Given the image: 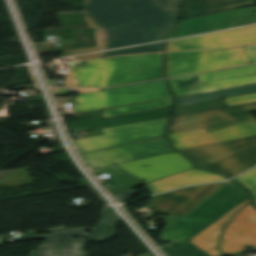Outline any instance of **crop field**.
<instances>
[{"mask_svg": "<svg viewBox=\"0 0 256 256\" xmlns=\"http://www.w3.org/2000/svg\"><path fill=\"white\" fill-rule=\"evenodd\" d=\"M225 179L226 178L220 174L194 168L148 185L153 194H156L186 185L200 184L209 181H223Z\"/></svg>", "mask_w": 256, "mask_h": 256, "instance_id": "733c2abd", "label": "crop field"}, {"mask_svg": "<svg viewBox=\"0 0 256 256\" xmlns=\"http://www.w3.org/2000/svg\"><path fill=\"white\" fill-rule=\"evenodd\" d=\"M73 67L66 85L108 87L164 78L162 54L114 57Z\"/></svg>", "mask_w": 256, "mask_h": 256, "instance_id": "ac0d7876", "label": "crop field"}, {"mask_svg": "<svg viewBox=\"0 0 256 256\" xmlns=\"http://www.w3.org/2000/svg\"><path fill=\"white\" fill-rule=\"evenodd\" d=\"M117 166L148 183L194 168L190 161L177 152L117 164Z\"/></svg>", "mask_w": 256, "mask_h": 256, "instance_id": "28ad6ade", "label": "crop field"}, {"mask_svg": "<svg viewBox=\"0 0 256 256\" xmlns=\"http://www.w3.org/2000/svg\"><path fill=\"white\" fill-rule=\"evenodd\" d=\"M223 184L201 185L162 194L153 209L165 215L186 217Z\"/></svg>", "mask_w": 256, "mask_h": 256, "instance_id": "d1516ede", "label": "crop field"}, {"mask_svg": "<svg viewBox=\"0 0 256 256\" xmlns=\"http://www.w3.org/2000/svg\"><path fill=\"white\" fill-rule=\"evenodd\" d=\"M246 245L256 248V209L251 204L230 221L223 234L220 249L229 256L245 251Z\"/></svg>", "mask_w": 256, "mask_h": 256, "instance_id": "cbeb9de0", "label": "crop field"}, {"mask_svg": "<svg viewBox=\"0 0 256 256\" xmlns=\"http://www.w3.org/2000/svg\"><path fill=\"white\" fill-rule=\"evenodd\" d=\"M249 147H256V136L220 144L181 150V152L186 154L198 167H203Z\"/></svg>", "mask_w": 256, "mask_h": 256, "instance_id": "d9b57169", "label": "crop field"}, {"mask_svg": "<svg viewBox=\"0 0 256 256\" xmlns=\"http://www.w3.org/2000/svg\"><path fill=\"white\" fill-rule=\"evenodd\" d=\"M183 0H84L85 20L97 46L61 57L165 40L177 24Z\"/></svg>", "mask_w": 256, "mask_h": 256, "instance_id": "8a807250", "label": "crop field"}, {"mask_svg": "<svg viewBox=\"0 0 256 256\" xmlns=\"http://www.w3.org/2000/svg\"><path fill=\"white\" fill-rule=\"evenodd\" d=\"M243 47L166 60L167 77L248 64Z\"/></svg>", "mask_w": 256, "mask_h": 256, "instance_id": "d8731c3e", "label": "crop field"}, {"mask_svg": "<svg viewBox=\"0 0 256 256\" xmlns=\"http://www.w3.org/2000/svg\"><path fill=\"white\" fill-rule=\"evenodd\" d=\"M234 180L238 181L240 184L250 190V192L255 196L256 203V168Z\"/></svg>", "mask_w": 256, "mask_h": 256, "instance_id": "d3111659", "label": "crop field"}, {"mask_svg": "<svg viewBox=\"0 0 256 256\" xmlns=\"http://www.w3.org/2000/svg\"><path fill=\"white\" fill-rule=\"evenodd\" d=\"M251 63L256 62V45L244 47Z\"/></svg>", "mask_w": 256, "mask_h": 256, "instance_id": "1d83c4d3", "label": "crop field"}, {"mask_svg": "<svg viewBox=\"0 0 256 256\" xmlns=\"http://www.w3.org/2000/svg\"><path fill=\"white\" fill-rule=\"evenodd\" d=\"M254 165H256V148H250L205 166L203 169L218 171L229 177H234Z\"/></svg>", "mask_w": 256, "mask_h": 256, "instance_id": "92a150f3", "label": "crop field"}, {"mask_svg": "<svg viewBox=\"0 0 256 256\" xmlns=\"http://www.w3.org/2000/svg\"><path fill=\"white\" fill-rule=\"evenodd\" d=\"M253 13H256V8L250 7L183 19L180 21L178 29L168 39L192 36L253 24L256 23V18H252Z\"/></svg>", "mask_w": 256, "mask_h": 256, "instance_id": "3316defc", "label": "crop field"}, {"mask_svg": "<svg viewBox=\"0 0 256 256\" xmlns=\"http://www.w3.org/2000/svg\"><path fill=\"white\" fill-rule=\"evenodd\" d=\"M168 118L105 128L104 135L74 141L80 153L163 136Z\"/></svg>", "mask_w": 256, "mask_h": 256, "instance_id": "f4fd0767", "label": "crop field"}, {"mask_svg": "<svg viewBox=\"0 0 256 256\" xmlns=\"http://www.w3.org/2000/svg\"><path fill=\"white\" fill-rule=\"evenodd\" d=\"M256 42V26L170 41L165 51L235 47Z\"/></svg>", "mask_w": 256, "mask_h": 256, "instance_id": "5142ce71", "label": "crop field"}, {"mask_svg": "<svg viewBox=\"0 0 256 256\" xmlns=\"http://www.w3.org/2000/svg\"><path fill=\"white\" fill-rule=\"evenodd\" d=\"M117 169H119L117 166L112 165L107 167L96 168V169H93L92 171L97 172V171H107V170H117Z\"/></svg>", "mask_w": 256, "mask_h": 256, "instance_id": "5866460e", "label": "crop field"}, {"mask_svg": "<svg viewBox=\"0 0 256 256\" xmlns=\"http://www.w3.org/2000/svg\"><path fill=\"white\" fill-rule=\"evenodd\" d=\"M256 135V121L208 133L206 129L167 135L177 150L220 143Z\"/></svg>", "mask_w": 256, "mask_h": 256, "instance_id": "22f410ed", "label": "crop field"}, {"mask_svg": "<svg viewBox=\"0 0 256 256\" xmlns=\"http://www.w3.org/2000/svg\"><path fill=\"white\" fill-rule=\"evenodd\" d=\"M101 89H74L75 92L82 93V92H88V91H97Z\"/></svg>", "mask_w": 256, "mask_h": 256, "instance_id": "e1f06a70", "label": "crop field"}, {"mask_svg": "<svg viewBox=\"0 0 256 256\" xmlns=\"http://www.w3.org/2000/svg\"><path fill=\"white\" fill-rule=\"evenodd\" d=\"M209 51H215V50H209ZM209 51L181 52V53H165V56H166V59H168V58H174V57L192 55V54L203 53V52H209Z\"/></svg>", "mask_w": 256, "mask_h": 256, "instance_id": "d32e631a", "label": "crop field"}, {"mask_svg": "<svg viewBox=\"0 0 256 256\" xmlns=\"http://www.w3.org/2000/svg\"><path fill=\"white\" fill-rule=\"evenodd\" d=\"M164 137L81 154L89 167L107 166L173 152Z\"/></svg>", "mask_w": 256, "mask_h": 256, "instance_id": "5a996713", "label": "crop field"}, {"mask_svg": "<svg viewBox=\"0 0 256 256\" xmlns=\"http://www.w3.org/2000/svg\"><path fill=\"white\" fill-rule=\"evenodd\" d=\"M104 227H101L103 226ZM117 230L114 226L101 222L94 230H92L86 237L89 240L82 241H107L115 236Z\"/></svg>", "mask_w": 256, "mask_h": 256, "instance_id": "ae1a2a85", "label": "crop field"}, {"mask_svg": "<svg viewBox=\"0 0 256 256\" xmlns=\"http://www.w3.org/2000/svg\"><path fill=\"white\" fill-rule=\"evenodd\" d=\"M7 236H0V244H2V242L4 241V239L6 238Z\"/></svg>", "mask_w": 256, "mask_h": 256, "instance_id": "b80d0937", "label": "crop field"}, {"mask_svg": "<svg viewBox=\"0 0 256 256\" xmlns=\"http://www.w3.org/2000/svg\"><path fill=\"white\" fill-rule=\"evenodd\" d=\"M253 5V0H188L183 6L181 19Z\"/></svg>", "mask_w": 256, "mask_h": 256, "instance_id": "4a817a6b", "label": "crop field"}, {"mask_svg": "<svg viewBox=\"0 0 256 256\" xmlns=\"http://www.w3.org/2000/svg\"><path fill=\"white\" fill-rule=\"evenodd\" d=\"M224 100L227 107L246 104V103H252V102H256V94L227 98Z\"/></svg>", "mask_w": 256, "mask_h": 256, "instance_id": "750c4746", "label": "crop field"}, {"mask_svg": "<svg viewBox=\"0 0 256 256\" xmlns=\"http://www.w3.org/2000/svg\"><path fill=\"white\" fill-rule=\"evenodd\" d=\"M249 196L233 181L225 183L185 219L165 217L168 222L161 239L187 242Z\"/></svg>", "mask_w": 256, "mask_h": 256, "instance_id": "34b2d1b8", "label": "crop field"}, {"mask_svg": "<svg viewBox=\"0 0 256 256\" xmlns=\"http://www.w3.org/2000/svg\"><path fill=\"white\" fill-rule=\"evenodd\" d=\"M169 114H170V108H167V109L126 115L123 117H111L106 119L75 123V124L69 125V127L74 129L73 131L79 132V131H85V130H92V129H98V128H105V127L165 118V117H169Z\"/></svg>", "mask_w": 256, "mask_h": 256, "instance_id": "bc2a9ffb", "label": "crop field"}, {"mask_svg": "<svg viewBox=\"0 0 256 256\" xmlns=\"http://www.w3.org/2000/svg\"><path fill=\"white\" fill-rule=\"evenodd\" d=\"M162 44H163V42L149 44V45H143V46H137V47H132V48H126V49H120V50H114V51H108V52L97 53V54L79 56L74 59L82 60V59L96 58V57H101V56H113V55H118V54H136V53L157 52V51H161Z\"/></svg>", "mask_w": 256, "mask_h": 256, "instance_id": "730fd06b", "label": "crop field"}, {"mask_svg": "<svg viewBox=\"0 0 256 256\" xmlns=\"http://www.w3.org/2000/svg\"><path fill=\"white\" fill-rule=\"evenodd\" d=\"M171 102H172V98L158 100V101H152V102H147V103H141V104H135V105H129V106H124V107L106 109L105 113L103 115V118L117 116V115L137 113V112H143V111H149V110H155V109H161V108H167V107L171 106Z\"/></svg>", "mask_w": 256, "mask_h": 256, "instance_id": "4177f3b9", "label": "crop field"}, {"mask_svg": "<svg viewBox=\"0 0 256 256\" xmlns=\"http://www.w3.org/2000/svg\"><path fill=\"white\" fill-rule=\"evenodd\" d=\"M92 229L93 228L58 229L49 231L52 233V235L49 236H35V232H28L29 235H23L22 240L46 238L47 241H45L44 244L59 241H81L87 235V231ZM74 236L81 238L76 240Z\"/></svg>", "mask_w": 256, "mask_h": 256, "instance_id": "a9b5d70f", "label": "crop field"}, {"mask_svg": "<svg viewBox=\"0 0 256 256\" xmlns=\"http://www.w3.org/2000/svg\"><path fill=\"white\" fill-rule=\"evenodd\" d=\"M102 215L103 218L101 219V221L108 222L114 226L121 221L110 208H104L102 211Z\"/></svg>", "mask_w": 256, "mask_h": 256, "instance_id": "bd1437ed", "label": "crop field"}, {"mask_svg": "<svg viewBox=\"0 0 256 256\" xmlns=\"http://www.w3.org/2000/svg\"><path fill=\"white\" fill-rule=\"evenodd\" d=\"M167 256H209L192 243H171L160 247Z\"/></svg>", "mask_w": 256, "mask_h": 256, "instance_id": "eef30255", "label": "crop field"}, {"mask_svg": "<svg viewBox=\"0 0 256 256\" xmlns=\"http://www.w3.org/2000/svg\"><path fill=\"white\" fill-rule=\"evenodd\" d=\"M250 201L251 199L245 200L242 204L225 214L223 217H221L219 220H217L215 223L210 225L208 228H206L204 231L189 241L210 256H222V254L217 249V242L221 232L223 231L224 225L233 217V215L240 207L248 204Z\"/></svg>", "mask_w": 256, "mask_h": 256, "instance_id": "214f88e0", "label": "crop field"}, {"mask_svg": "<svg viewBox=\"0 0 256 256\" xmlns=\"http://www.w3.org/2000/svg\"><path fill=\"white\" fill-rule=\"evenodd\" d=\"M137 192L129 190L126 192H123L121 194L115 195V197L120 201V202H125L128 199H130L132 196H134Z\"/></svg>", "mask_w": 256, "mask_h": 256, "instance_id": "120bbe31", "label": "crop field"}, {"mask_svg": "<svg viewBox=\"0 0 256 256\" xmlns=\"http://www.w3.org/2000/svg\"><path fill=\"white\" fill-rule=\"evenodd\" d=\"M250 93H256V84L255 85H248V86H241L235 88H229L214 92H208L198 95H190V96H182L178 97L175 100L176 105H187L207 100L219 99V98H227L239 95H245Z\"/></svg>", "mask_w": 256, "mask_h": 256, "instance_id": "dafd665d", "label": "crop field"}, {"mask_svg": "<svg viewBox=\"0 0 256 256\" xmlns=\"http://www.w3.org/2000/svg\"><path fill=\"white\" fill-rule=\"evenodd\" d=\"M68 91H69V88L67 87L54 89L55 96L60 94H68Z\"/></svg>", "mask_w": 256, "mask_h": 256, "instance_id": "028f5c9d", "label": "crop field"}, {"mask_svg": "<svg viewBox=\"0 0 256 256\" xmlns=\"http://www.w3.org/2000/svg\"><path fill=\"white\" fill-rule=\"evenodd\" d=\"M84 242H59L38 246L30 256H88L83 252Z\"/></svg>", "mask_w": 256, "mask_h": 256, "instance_id": "00972430", "label": "crop field"}, {"mask_svg": "<svg viewBox=\"0 0 256 256\" xmlns=\"http://www.w3.org/2000/svg\"><path fill=\"white\" fill-rule=\"evenodd\" d=\"M256 103L172 118L167 134L206 128L208 132L253 120Z\"/></svg>", "mask_w": 256, "mask_h": 256, "instance_id": "e52e79f7", "label": "crop field"}, {"mask_svg": "<svg viewBox=\"0 0 256 256\" xmlns=\"http://www.w3.org/2000/svg\"><path fill=\"white\" fill-rule=\"evenodd\" d=\"M140 256H151L149 253L147 254H143V255H140Z\"/></svg>", "mask_w": 256, "mask_h": 256, "instance_id": "c035e120", "label": "crop field"}, {"mask_svg": "<svg viewBox=\"0 0 256 256\" xmlns=\"http://www.w3.org/2000/svg\"><path fill=\"white\" fill-rule=\"evenodd\" d=\"M164 80L83 93L76 96V112L96 110L169 97Z\"/></svg>", "mask_w": 256, "mask_h": 256, "instance_id": "412701ff", "label": "crop field"}, {"mask_svg": "<svg viewBox=\"0 0 256 256\" xmlns=\"http://www.w3.org/2000/svg\"><path fill=\"white\" fill-rule=\"evenodd\" d=\"M174 95L256 82V64L168 80Z\"/></svg>", "mask_w": 256, "mask_h": 256, "instance_id": "dd49c442", "label": "crop field"}, {"mask_svg": "<svg viewBox=\"0 0 256 256\" xmlns=\"http://www.w3.org/2000/svg\"><path fill=\"white\" fill-rule=\"evenodd\" d=\"M161 195H158V196H155L151 199V201L149 202V206L150 208H152V206L155 204V202L158 200V198L160 197Z\"/></svg>", "mask_w": 256, "mask_h": 256, "instance_id": "0bd39190", "label": "crop field"}]
</instances>
